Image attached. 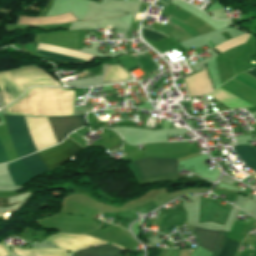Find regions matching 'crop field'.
Here are the masks:
<instances>
[{
  "label": "crop field",
  "instance_id": "obj_1",
  "mask_svg": "<svg viewBox=\"0 0 256 256\" xmlns=\"http://www.w3.org/2000/svg\"><path fill=\"white\" fill-rule=\"evenodd\" d=\"M84 115L85 114L71 117H48L58 143L65 139L70 132L86 124ZM5 117L9 135L19 158L33 153L35 150L38 151L57 144L47 117H25L35 150L26 126L25 118L7 115H5Z\"/></svg>",
  "mask_w": 256,
  "mask_h": 256
},
{
  "label": "crop field",
  "instance_id": "obj_2",
  "mask_svg": "<svg viewBox=\"0 0 256 256\" xmlns=\"http://www.w3.org/2000/svg\"><path fill=\"white\" fill-rule=\"evenodd\" d=\"M5 109L7 114L16 115H71L74 110V91L63 88H31L21 99Z\"/></svg>",
  "mask_w": 256,
  "mask_h": 256
},
{
  "label": "crop field",
  "instance_id": "obj_3",
  "mask_svg": "<svg viewBox=\"0 0 256 256\" xmlns=\"http://www.w3.org/2000/svg\"><path fill=\"white\" fill-rule=\"evenodd\" d=\"M46 74L35 66L0 73V90L3 94L4 106L17 99L33 85L59 86Z\"/></svg>",
  "mask_w": 256,
  "mask_h": 256
},
{
  "label": "crop field",
  "instance_id": "obj_4",
  "mask_svg": "<svg viewBox=\"0 0 256 256\" xmlns=\"http://www.w3.org/2000/svg\"><path fill=\"white\" fill-rule=\"evenodd\" d=\"M83 150L79 145L67 137L58 146L39 152V155L49 170L69 160L74 154ZM38 153L19 159L32 179L46 173L48 168Z\"/></svg>",
  "mask_w": 256,
  "mask_h": 256
},
{
  "label": "crop field",
  "instance_id": "obj_5",
  "mask_svg": "<svg viewBox=\"0 0 256 256\" xmlns=\"http://www.w3.org/2000/svg\"><path fill=\"white\" fill-rule=\"evenodd\" d=\"M134 164L144 178L177 174L176 160L143 158L134 161Z\"/></svg>",
  "mask_w": 256,
  "mask_h": 256
},
{
  "label": "crop field",
  "instance_id": "obj_6",
  "mask_svg": "<svg viewBox=\"0 0 256 256\" xmlns=\"http://www.w3.org/2000/svg\"><path fill=\"white\" fill-rule=\"evenodd\" d=\"M51 243L56 246L71 252H76L83 248L93 247L97 245L105 244L106 242L100 241L96 238L81 235H70V234H56L49 237Z\"/></svg>",
  "mask_w": 256,
  "mask_h": 256
},
{
  "label": "crop field",
  "instance_id": "obj_7",
  "mask_svg": "<svg viewBox=\"0 0 256 256\" xmlns=\"http://www.w3.org/2000/svg\"><path fill=\"white\" fill-rule=\"evenodd\" d=\"M36 50L51 53V54H55V55H60V56H64V57H69V58H73V59H77V60H82V61H86V62H90L94 57L92 55L83 54V53H79V52H75V51H71V50H66V49H62V48H58V47H54V46H49V45H42V44H38V43H37V46H36ZM38 51H36L37 55L44 56V57L54 59V60H57V61H62V62H67V63H74V64L86 63V62L77 61V60L64 58V57H60V56H55V55L42 53V52H38Z\"/></svg>",
  "mask_w": 256,
  "mask_h": 256
},
{
  "label": "crop field",
  "instance_id": "obj_8",
  "mask_svg": "<svg viewBox=\"0 0 256 256\" xmlns=\"http://www.w3.org/2000/svg\"><path fill=\"white\" fill-rule=\"evenodd\" d=\"M77 20L76 17L70 12L67 14L48 17V18H26L19 16L18 24H30V25H49V24H60L69 21Z\"/></svg>",
  "mask_w": 256,
  "mask_h": 256
},
{
  "label": "crop field",
  "instance_id": "obj_9",
  "mask_svg": "<svg viewBox=\"0 0 256 256\" xmlns=\"http://www.w3.org/2000/svg\"><path fill=\"white\" fill-rule=\"evenodd\" d=\"M221 231H212L195 227L194 233L199 240L200 247L213 253Z\"/></svg>",
  "mask_w": 256,
  "mask_h": 256
},
{
  "label": "crop field",
  "instance_id": "obj_10",
  "mask_svg": "<svg viewBox=\"0 0 256 256\" xmlns=\"http://www.w3.org/2000/svg\"><path fill=\"white\" fill-rule=\"evenodd\" d=\"M122 249L111 245H102L94 248L84 249L76 252L77 256H118Z\"/></svg>",
  "mask_w": 256,
  "mask_h": 256
},
{
  "label": "crop field",
  "instance_id": "obj_11",
  "mask_svg": "<svg viewBox=\"0 0 256 256\" xmlns=\"http://www.w3.org/2000/svg\"><path fill=\"white\" fill-rule=\"evenodd\" d=\"M245 166L256 171V149L249 146H235L233 147ZM254 171V172H255Z\"/></svg>",
  "mask_w": 256,
  "mask_h": 256
},
{
  "label": "crop field",
  "instance_id": "obj_12",
  "mask_svg": "<svg viewBox=\"0 0 256 256\" xmlns=\"http://www.w3.org/2000/svg\"><path fill=\"white\" fill-rule=\"evenodd\" d=\"M13 251L19 256H67L68 253L59 249H37L25 251L14 247Z\"/></svg>",
  "mask_w": 256,
  "mask_h": 256
},
{
  "label": "crop field",
  "instance_id": "obj_13",
  "mask_svg": "<svg viewBox=\"0 0 256 256\" xmlns=\"http://www.w3.org/2000/svg\"><path fill=\"white\" fill-rule=\"evenodd\" d=\"M239 243L227 239L224 245L223 250L221 251V253L219 254V256H233V253L235 251V249L237 248Z\"/></svg>",
  "mask_w": 256,
  "mask_h": 256
},
{
  "label": "crop field",
  "instance_id": "obj_14",
  "mask_svg": "<svg viewBox=\"0 0 256 256\" xmlns=\"http://www.w3.org/2000/svg\"><path fill=\"white\" fill-rule=\"evenodd\" d=\"M146 29H142V35H143L144 38L151 39V40H153L155 42L167 38L166 36L161 35L162 33L158 34V33L154 32V31H150L151 29L150 30H146Z\"/></svg>",
  "mask_w": 256,
  "mask_h": 256
},
{
  "label": "crop field",
  "instance_id": "obj_15",
  "mask_svg": "<svg viewBox=\"0 0 256 256\" xmlns=\"http://www.w3.org/2000/svg\"><path fill=\"white\" fill-rule=\"evenodd\" d=\"M227 233H228V232H225V231H222V232H221L218 245H217V247H216L214 253L212 254V256H217V255H218V253H219V251H220V249H221V247H222V245H223V243H224V240H225V238H226Z\"/></svg>",
  "mask_w": 256,
  "mask_h": 256
},
{
  "label": "crop field",
  "instance_id": "obj_16",
  "mask_svg": "<svg viewBox=\"0 0 256 256\" xmlns=\"http://www.w3.org/2000/svg\"><path fill=\"white\" fill-rule=\"evenodd\" d=\"M9 255H11V254L5 248V244L0 243V256H9Z\"/></svg>",
  "mask_w": 256,
  "mask_h": 256
},
{
  "label": "crop field",
  "instance_id": "obj_17",
  "mask_svg": "<svg viewBox=\"0 0 256 256\" xmlns=\"http://www.w3.org/2000/svg\"><path fill=\"white\" fill-rule=\"evenodd\" d=\"M8 162L0 142V163Z\"/></svg>",
  "mask_w": 256,
  "mask_h": 256
},
{
  "label": "crop field",
  "instance_id": "obj_18",
  "mask_svg": "<svg viewBox=\"0 0 256 256\" xmlns=\"http://www.w3.org/2000/svg\"><path fill=\"white\" fill-rule=\"evenodd\" d=\"M245 72H247V73L256 77V67H252V68L246 70Z\"/></svg>",
  "mask_w": 256,
  "mask_h": 256
},
{
  "label": "crop field",
  "instance_id": "obj_19",
  "mask_svg": "<svg viewBox=\"0 0 256 256\" xmlns=\"http://www.w3.org/2000/svg\"><path fill=\"white\" fill-rule=\"evenodd\" d=\"M0 206H8L7 198H0Z\"/></svg>",
  "mask_w": 256,
  "mask_h": 256
},
{
  "label": "crop field",
  "instance_id": "obj_20",
  "mask_svg": "<svg viewBox=\"0 0 256 256\" xmlns=\"http://www.w3.org/2000/svg\"><path fill=\"white\" fill-rule=\"evenodd\" d=\"M214 52H216L217 54H219V52H217L216 50H214Z\"/></svg>",
  "mask_w": 256,
  "mask_h": 256
}]
</instances>
